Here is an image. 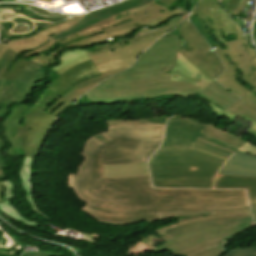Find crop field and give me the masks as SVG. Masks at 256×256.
Here are the masks:
<instances>
[{
  "mask_svg": "<svg viewBox=\"0 0 256 256\" xmlns=\"http://www.w3.org/2000/svg\"><path fill=\"white\" fill-rule=\"evenodd\" d=\"M101 143L89 137L77 174H68V189L87 204L89 215L115 221L156 217L155 211L249 208L244 190L151 188L149 175L103 178V164L146 161L163 140L164 125L122 123L107 126Z\"/></svg>",
  "mask_w": 256,
  "mask_h": 256,
  "instance_id": "1",
  "label": "crop field"
},
{
  "mask_svg": "<svg viewBox=\"0 0 256 256\" xmlns=\"http://www.w3.org/2000/svg\"><path fill=\"white\" fill-rule=\"evenodd\" d=\"M228 158L194 144L190 149H159L149 160L153 186L212 188L219 167Z\"/></svg>",
  "mask_w": 256,
  "mask_h": 256,
  "instance_id": "2",
  "label": "crop field"
},
{
  "mask_svg": "<svg viewBox=\"0 0 256 256\" xmlns=\"http://www.w3.org/2000/svg\"><path fill=\"white\" fill-rule=\"evenodd\" d=\"M251 223V216L195 222L168 231L161 236L166 242L157 247L150 241L146 244L152 248L150 252L168 249L174 256H221L225 253L222 245L237 232L250 227Z\"/></svg>",
  "mask_w": 256,
  "mask_h": 256,
  "instance_id": "3",
  "label": "crop field"
},
{
  "mask_svg": "<svg viewBox=\"0 0 256 256\" xmlns=\"http://www.w3.org/2000/svg\"><path fill=\"white\" fill-rule=\"evenodd\" d=\"M185 14L173 9L171 12L162 5L159 7L153 0H126L117 5L87 13L75 26L56 34L52 39L61 45L83 37L104 32L102 29L131 19L140 26L157 27L171 16Z\"/></svg>",
  "mask_w": 256,
  "mask_h": 256,
  "instance_id": "4",
  "label": "crop field"
},
{
  "mask_svg": "<svg viewBox=\"0 0 256 256\" xmlns=\"http://www.w3.org/2000/svg\"><path fill=\"white\" fill-rule=\"evenodd\" d=\"M59 120L61 118L25 104L13 107L10 115L2 122L6 129L4 137L11 144L6 154L14 157L13 149L22 146L25 156L38 155L44 139Z\"/></svg>",
  "mask_w": 256,
  "mask_h": 256,
  "instance_id": "5",
  "label": "crop field"
},
{
  "mask_svg": "<svg viewBox=\"0 0 256 256\" xmlns=\"http://www.w3.org/2000/svg\"><path fill=\"white\" fill-rule=\"evenodd\" d=\"M129 83L132 89L110 93L114 104L155 99L163 95L188 98L197 94L224 110L232 105L205 87L199 90L186 83L170 82V74L130 79Z\"/></svg>",
  "mask_w": 256,
  "mask_h": 256,
  "instance_id": "6",
  "label": "crop field"
},
{
  "mask_svg": "<svg viewBox=\"0 0 256 256\" xmlns=\"http://www.w3.org/2000/svg\"><path fill=\"white\" fill-rule=\"evenodd\" d=\"M19 56L16 52L8 48L6 53L0 58V117L3 118L8 113V106L24 102L28 95L37 87L39 82L45 77V68L36 62L29 61L23 70L13 81L2 79V75ZM1 147H5V142L0 140ZM8 169L0 154V179L7 175L3 170Z\"/></svg>",
  "mask_w": 256,
  "mask_h": 256,
  "instance_id": "7",
  "label": "crop field"
},
{
  "mask_svg": "<svg viewBox=\"0 0 256 256\" xmlns=\"http://www.w3.org/2000/svg\"><path fill=\"white\" fill-rule=\"evenodd\" d=\"M155 40L91 56V59L72 67L62 76L73 85L83 79L98 76L100 72L131 66L141 52Z\"/></svg>",
  "mask_w": 256,
  "mask_h": 256,
  "instance_id": "8",
  "label": "crop field"
},
{
  "mask_svg": "<svg viewBox=\"0 0 256 256\" xmlns=\"http://www.w3.org/2000/svg\"><path fill=\"white\" fill-rule=\"evenodd\" d=\"M150 48L138 58L137 63L132 68L108 79L136 75L146 71L150 75L171 73L178 51L181 48L177 31H171L161 37Z\"/></svg>",
  "mask_w": 256,
  "mask_h": 256,
  "instance_id": "9",
  "label": "crop field"
},
{
  "mask_svg": "<svg viewBox=\"0 0 256 256\" xmlns=\"http://www.w3.org/2000/svg\"><path fill=\"white\" fill-rule=\"evenodd\" d=\"M179 32L193 49L187 52L180 50V54L213 80L224 68L218 57L211 50L205 40L199 35L190 22H184L178 27ZM188 30V32H186ZM201 46V48H199Z\"/></svg>",
  "mask_w": 256,
  "mask_h": 256,
  "instance_id": "10",
  "label": "crop field"
},
{
  "mask_svg": "<svg viewBox=\"0 0 256 256\" xmlns=\"http://www.w3.org/2000/svg\"><path fill=\"white\" fill-rule=\"evenodd\" d=\"M226 50H222L218 45L215 46V52L218 54L220 60L223 62V64L226 67V71L223 72L218 78H216L217 81H219L221 84H223L228 89L232 90L234 93H236L238 96L242 97L247 92H249L248 89L245 88V86L240 85L236 82L237 72L235 71V67L242 69L244 72L243 75V81L249 83L256 92V78L252 74L250 75L247 71L246 65L243 63V60L241 58L239 49L237 45L235 44L234 40L223 43ZM214 48V47H213Z\"/></svg>",
  "mask_w": 256,
  "mask_h": 256,
  "instance_id": "11",
  "label": "crop field"
},
{
  "mask_svg": "<svg viewBox=\"0 0 256 256\" xmlns=\"http://www.w3.org/2000/svg\"><path fill=\"white\" fill-rule=\"evenodd\" d=\"M157 218L152 219H144L138 221H131V222H114L109 220H101L96 219L99 222H103L106 224H111L115 226L138 223L147 221L148 223L162 219L164 222L171 220L173 218L176 219L177 223L165 226L163 228L156 229L157 235L165 234L166 231L172 230L178 226L200 221V220H208L214 219L219 217H226V216H241V215H251L249 209H229V210H211V211H170V212H156Z\"/></svg>",
  "mask_w": 256,
  "mask_h": 256,
  "instance_id": "12",
  "label": "crop field"
},
{
  "mask_svg": "<svg viewBox=\"0 0 256 256\" xmlns=\"http://www.w3.org/2000/svg\"><path fill=\"white\" fill-rule=\"evenodd\" d=\"M205 126L197 120L175 116L167 121L164 143L160 148H189Z\"/></svg>",
  "mask_w": 256,
  "mask_h": 256,
  "instance_id": "13",
  "label": "crop field"
},
{
  "mask_svg": "<svg viewBox=\"0 0 256 256\" xmlns=\"http://www.w3.org/2000/svg\"><path fill=\"white\" fill-rule=\"evenodd\" d=\"M137 28H140L139 24H134L132 21L127 22L122 25L119 24L115 27L104 29L106 31L104 33L89 36L84 39L71 42L65 46H60L48 57L40 53V54L30 58L29 60L36 61V62L40 63L41 65L44 63H48L49 60L52 61L53 63H55V59L53 56L55 54H57L62 48H72V47H78V46L88 47L95 43L106 42V39H108L110 37H112L113 40H115L114 37H122V36L130 35V34H132V31H134Z\"/></svg>",
  "mask_w": 256,
  "mask_h": 256,
  "instance_id": "14",
  "label": "crop field"
},
{
  "mask_svg": "<svg viewBox=\"0 0 256 256\" xmlns=\"http://www.w3.org/2000/svg\"><path fill=\"white\" fill-rule=\"evenodd\" d=\"M84 15V14H83ZM78 16L74 18L67 19L68 22L61 24L59 26L49 28L45 31L41 30L38 33L28 37V38H19L14 40H9L0 44V57L4 54L7 48H11L17 53L21 54L23 52L29 51L33 48L39 47L41 44L49 40L50 36L56 32L63 31L66 28L77 23L78 20L83 16Z\"/></svg>",
  "mask_w": 256,
  "mask_h": 256,
  "instance_id": "15",
  "label": "crop field"
},
{
  "mask_svg": "<svg viewBox=\"0 0 256 256\" xmlns=\"http://www.w3.org/2000/svg\"><path fill=\"white\" fill-rule=\"evenodd\" d=\"M213 107V111L218 113V116L224 117L228 115L234 120L240 116L253 124L248 129L247 133L256 137V93L252 90L250 94L242 97L240 101L230 107L228 110L224 111L212 103L209 104Z\"/></svg>",
  "mask_w": 256,
  "mask_h": 256,
  "instance_id": "16",
  "label": "crop field"
},
{
  "mask_svg": "<svg viewBox=\"0 0 256 256\" xmlns=\"http://www.w3.org/2000/svg\"><path fill=\"white\" fill-rule=\"evenodd\" d=\"M221 6L217 0H201L193 10V15L198 16L204 21V24L210 30L213 38L218 39L221 43L226 42L222 34L218 12Z\"/></svg>",
  "mask_w": 256,
  "mask_h": 256,
  "instance_id": "17",
  "label": "crop field"
},
{
  "mask_svg": "<svg viewBox=\"0 0 256 256\" xmlns=\"http://www.w3.org/2000/svg\"><path fill=\"white\" fill-rule=\"evenodd\" d=\"M187 16L175 19L169 23H167L166 25H164L163 27H161L160 29L151 32V33H147L144 34L142 36H137L134 37L132 39H123V40H119L115 43H111V44H105V45H97L91 48H86L89 56L91 55H95V54H99L102 52H106V51H110L113 49H117V48H121V47H125L134 43H138V42H142V41H146V40H151V39H155L160 37L162 34L173 30L174 28H176L180 23L184 22L187 19Z\"/></svg>",
  "mask_w": 256,
  "mask_h": 256,
  "instance_id": "18",
  "label": "crop field"
},
{
  "mask_svg": "<svg viewBox=\"0 0 256 256\" xmlns=\"http://www.w3.org/2000/svg\"><path fill=\"white\" fill-rule=\"evenodd\" d=\"M171 81H181L193 85L199 89L207 85L211 80L200 70L178 54V58L171 73Z\"/></svg>",
  "mask_w": 256,
  "mask_h": 256,
  "instance_id": "19",
  "label": "crop field"
},
{
  "mask_svg": "<svg viewBox=\"0 0 256 256\" xmlns=\"http://www.w3.org/2000/svg\"><path fill=\"white\" fill-rule=\"evenodd\" d=\"M148 73H143L136 76L113 79L97 85L89 90L85 95L91 104H113L108 92L130 88L127 79L147 76Z\"/></svg>",
  "mask_w": 256,
  "mask_h": 256,
  "instance_id": "20",
  "label": "crop field"
},
{
  "mask_svg": "<svg viewBox=\"0 0 256 256\" xmlns=\"http://www.w3.org/2000/svg\"><path fill=\"white\" fill-rule=\"evenodd\" d=\"M219 174L256 177V156L237 151L223 165Z\"/></svg>",
  "mask_w": 256,
  "mask_h": 256,
  "instance_id": "21",
  "label": "crop field"
},
{
  "mask_svg": "<svg viewBox=\"0 0 256 256\" xmlns=\"http://www.w3.org/2000/svg\"><path fill=\"white\" fill-rule=\"evenodd\" d=\"M71 88H73L72 85L60 76L39 96L32 107L45 111L55 100Z\"/></svg>",
  "mask_w": 256,
  "mask_h": 256,
  "instance_id": "22",
  "label": "crop field"
},
{
  "mask_svg": "<svg viewBox=\"0 0 256 256\" xmlns=\"http://www.w3.org/2000/svg\"><path fill=\"white\" fill-rule=\"evenodd\" d=\"M214 188H247L250 202H256V178L218 175Z\"/></svg>",
  "mask_w": 256,
  "mask_h": 256,
  "instance_id": "23",
  "label": "crop field"
},
{
  "mask_svg": "<svg viewBox=\"0 0 256 256\" xmlns=\"http://www.w3.org/2000/svg\"><path fill=\"white\" fill-rule=\"evenodd\" d=\"M146 174H149L146 162L104 165V177H132Z\"/></svg>",
  "mask_w": 256,
  "mask_h": 256,
  "instance_id": "24",
  "label": "crop field"
},
{
  "mask_svg": "<svg viewBox=\"0 0 256 256\" xmlns=\"http://www.w3.org/2000/svg\"><path fill=\"white\" fill-rule=\"evenodd\" d=\"M202 133H205L209 136L218 138L230 145L238 147V148H240L239 151H241V152L256 155V146L251 145V143H248L235 135L226 133V132H224V130L219 129V128L215 127L214 125L207 126L202 131Z\"/></svg>",
  "mask_w": 256,
  "mask_h": 256,
  "instance_id": "25",
  "label": "crop field"
},
{
  "mask_svg": "<svg viewBox=\"0 0 256 256\" xmlns=\"http://www.w3.org/2000/svg\"><path fill=\"white\" fill-rule=\"evenodd\" d=\"M100 83V82H98ZM94 83L91 85H87L78 89H71L66 94H64L62 97H60L56 102H54L47 110L46 112L58 115L61 113L65 108L73 104L83 93H85L89 88L92 86L98 84Z\"/></svg>",
  "mask_w": 256,
  "mask_h": 256,
  "instance_id": "26",
  "label": "crop field"
},
{
  "mask_svg": "<svg viewBox=\"0 0 256 256\" xmlns=\"http://www.w3.org/2000/svg\"><path fill=\"white\" fill-rule=\"evenodd\" d=\"M85 49H75L73 51H64L58 56L60 61L57 66L52 67L56 72L62 73L63 71L69 69L71 66L78 64L82 61L89 59Z\"/></svg>",
  "mask_w": 256,
  "mask_h": 256,
  "instance_id": "27",
  "label": "crop field"
},
{
  "mask_svg": "<svg viewBox=\"0 0 256 256\" xmlns=\"http://www.w3.org/2000/svg\"><path fill=\"white\" fill-rule=\"evenodd\" d=\"M238 41L235 40L238 45L241 55L243 57L244 63H246L249 73H254L256 76V51L251 48L250 43L242 35V32L236 25Z\"/></svg>",
  "mask_w": 256,
  "mask_h": 256,
  "instance_id": "28",
  "label": "crop field"
},
{
  "mask_svg": "<svg viewBox=\"0 0 256 256\" xmlns=\"http://www.w3.org/2000/svg\"><path fill=\"white\" fill-rule=\"evenodd\" d=\"M194 144L203 146L205 148L211 149L213 151L226 154L231 156L234 152L238 150V148H235L233 146L227 145L215 138L206 136L202 133L195 139Z\"/></svg>",
  "mask_w": 256,
  "mask_h": 256,
  "instance_id": "29",
  "label": "crop field"
},
{
  "mask_svg": "<svg viewBox=\"0 0 256 256\" xmlns=\"http://www.w3.org/2000/svg\"><path fill=\"white\" fill-rule=\"evenodd\" d=\"M219 18L221 20V26L223 28L225 38L228 41L232 40L231 34L236 33L235 23L232 22L228 14H226L223 9H221L219 12Z\"/></svg>",
  "mask_w": 256,
  "mask_h": 256,
  "instance_id": "30",
  "label": "crop field"
},
{
  "mask_svg": "<svg viewBox=\"0 0 256 256\" xmlns=\"http://www.w3.org/2000/svg\"><path fill=\"white\" fill-rule=\"evenodd\" d=\"M206 87L212 90L213 92H215L216 94L220 95L221 97H223L224 99H226L232 104L235 103L237 100H239V97L230 93L228 90H226L223 86H221L219 83L215 81L209 83Z\"/></svg>",
  "mask_w": 256,
  "mask_h": 256,
  "instance_id": "31",
  "label": "crop field"
},
{
  "mask_svg": "<svg viewBox=\"0 0 256 256\" xmlns=\"http://www.w3.org/2000/svg\"><path fill=\"white\" fill-rule=\"evenodd\" d=\"M190 21L197 27V29L200 31L201 35L205 38V40L210 44V46L216 45V43L212 40V36L209 32V30L206 28V26L203 24L202 20H200L198 17L193 16L191 14Z\"/></svg>",
  "mask_w": 256,
  "mask_h": 256,
  "instance_id": "32",
  "label": "crop field"
},
{
  "mask_svg": "<svg viewBox=\"0 0 256 256\" xmlns=\"http://www.w3.org/2000/svg\"><path fill=\"white\" fill-rule=\"evenodd\" d=\"M28 60L17 58L12 66L6 71L2 78L13 80L14 77L22 70Z\"/></svg>",
  "mask_w": 256,
  "mask_h": 256,
  "instance_id": "33",
  "label": "crop field"
},
{
  "mask_svg": "<svg viewBox=\"0 0 256 256\" xmlns=\"http://www.w3.org/2000/svg\"><path fill=\"white\" fill-rule=\"evenodd\" d=\"M169 117H159V118H140L138 120H130V121H117V122H110L107 121L106 124H116V123H122V122H139V123H152V124H165V120L168 119Z\"/></svg>",
  "mask_w": 256,
  "mask_h": 256,
  "instance_id": "34",
  "label": "crop field"
},
{
  "mask_svg": "<svg viewBox=\"0 0 256 256\" xmlns=\"http://www.w3.org/2000/svg\"><path fill=\"white\" fill-rule=\"evenodd\" d=\"M125 69H127V68H125ZM122 70H124V69L101 73L100 76L84 80V81L74 85V87L78 88V87H81V86H84V85H87V84H91V83H94V82H97V81H101V80H103V79H105L109 76H112V75H114V74H116V73H118Z\"/></svg>",
  "mask_w": 256,
  "mask_h": 256,
  "instance_id": "35",
  "label": "crop field"
},
{
  "mask_svg": "<svg viewBox=\"0 0 256 256\" xmlns=\"http://www.w3.org/2000/svg\"><path fill=\"white\" fill-rule=\"evenodd\" d=\"M223 256H256V247L237 248Z\"/></svg>",
  "mask_w": 256,
  "mask_h": 256,
  "instance_id": "36",
  "label": "crop field"
},
{
  "mask_svg": "<svg viewBox=\"0 0 256 256\" xmlns=\"http://www.w3.org/2000/svg\"><path fill=\"white\" fill-rule=\"evenodd\" d=\"M55 43L56 42L51 39L50 41H48L47 44L43 45L42 47H40L38 49H35V50H33V51L29 52V53H25V54H23L21 56L30 58V57H32V56H34V55H36V54H38L40 52H45L49 48L53 47Z\"/></svg>",
  "mask_w": 256,
  "mask_h": 256,
  "instance_id": "37",
  "label": "crop field"
},
{
  "mask_svg": "<svg viewBox=\"0 0 256 256\" xmlns=\"http://www.w3.org/2000/svg\"><path fill=\"white\" fill-rule=\"evenodd\" d=\"M242 0H224L223 6L225 10L231 15L232 12L237 8Z\"/></svg>",
  "mask_w": 256,
  "mask_h": 256,
  "instance_id": "38",
  "label": "crop field"
},
{
  "mask_svg": "<svg viewBox=\"0 0 256 256\" xmlns=\"http://www.w3.org/2000/svg\"><path fill=\"white\" fill-rule=\"evenodd\" d=\"M22 256H63V254L39 250L38 252H25Z\"/></svg>",
  "mask_w": 256,
  "mask_h": 256,
  "instance_id": "39",
  "label": "crop field"
},
{
  "mask_svg": "<svg viewBox=\"0 0 256 256\" xmlns=\"http://www.w3.org/2000/svg\"><path fill=\"white\" fill-rule=\"evenodd\" d=\"M168 10H172L181 0H158ZM167 4V6H165Z\"/></svg>",
  "mask_w": 256,
  "mask_h": 256,
  "instance_id": "40",
  "label": "crop field"
},
{
  "mask_svg": "<svg viewBox=\"0 0 256 256\" xmlns=\"http://www.w3.org/2000/svg\"><path fill=\"white\" fill-rule=\"evenodd\" d=\"M248 0H243V2L238 6V8L233 12V16H238V14L245 8Z\"/></svg>",
  "mask_w": 256,
  "mask_h": 256,
  "instance_id": "41",
  "label": "crop field"
},
{
  "mask_svg": "<svg viewBox=\"0 0 256 256\" xmlns=\"http://www.w3.org/2000/svg\"><path fill=\"white\" fill-rule=\"evenodd\" d=\"M178 7L184 8V9H183V12H186V13H187V10H188V7H189V3H188L187 0H182V2L179 3Z\"/></svg>",
  "mask_w": 256,
  "mask_h": 256,
  "instance_id": "42",
  "label": "crop field"
},
{
  "mask_svg": "<svg viewBox=\"0 0 256 256\" xmlns=\"http://www.w3.org/2000/svg\"><path fill=\"white\" fill-rule=\"evenodd\" d=\"M250 205H251L254 221H255V224H256V203H250Z\"/></svg>",
  "mask_w": 256,
  "mask_h": 256,
  "instance_id": "43",
  "label": "crop field"
},
{
  "mask_svg": "<svg viewBox=\"0 0 256 256\" xmlns=\"http://www.w3.org/2000/svg\"><path fill=\"white\" fill-rule=\"evenodd\" d=\"M178 33H179V32H178ZM179 36H180V38H181L182 41H183V47H182V49H185V50H188V51L192 50V49L189 47V45L186 43V41L183 39V37L180 35V33H179Z\"/></svg>",
  "mask_w": 256,
  "mask_h": 256,
  "instance_id": "44",
  "label": "crop field"
},
{
  "mask_svg": "<svg viewBox=\"0 0 256 256\" xmlns=\"http://www.w3.org/2000/svg\"><path fill=\"white\" fill-rule=\"evenodd\" d=\"M93 136L96 137L97 139H99L103 143L107 142V140L100 133L93 135Z\"/></svg>",
  "mask_w": 256,
  "mask_h": 256,
  "instance_id": "45",
  "label": "crop field"
},
{
  "mask_svg": "<svg viewBox=\"0 0 256 256\" xmlns=\"http://www.w3.org/2000/svg\"><path fill=\"white\" fill-rule=\"evenodd\" d=\"M64 22H66V20H65V21H61V22H58V23H55V24H52V25H49V26H46V27L43 28V30L46 29V28L53 27V26H56V25H58V24L64 23Z\"/></svg>",
  "mask_w": 256,
  "mask_h": 256,
  "instance_id": "46",
  "label": "crop field"
},
{
  "mask_svg": "<svg viewBox=\"0 0 256 256\" xmlns=\"http://www.w3.org/2000/svg\"><path fill=\"white\" fill-rule=\"evenodd\" d=\"M49 70V72H50V76H49V80H48V82L49 81H51L52 80V77H53V74H54V70H52V69H48Z\"/></svg>",
  "mask_w": 256,
  "mask_h": 256,
  "instance_id": "47",
  "label": "crop field"
},
{
  "mask_svg": "<svg viewBox=\"0 0 256 256\" xmlns=\"http://www.w3.org/2000/svg\"><path fill=\"white\" fill-rule=\"evenodd\" d=\"M253 39L256 40V22H255L254 28H253Z\"/></svg>",
  "mask_w": 256,
  "mask_h": 256,
  "instance_id": "48",
  "label": "crop field"
},
{
  "mask_svg": "<svg viewBox=\"0 0 256 256\" xmlns=\"http://www.w3.org/2000/svg\"><path fill=\"white\" fill-rule=\"evenodd\" d=\"M1 187H2V184L0 183V203L4 201V200L2 199V196H1Z\"/></svg>",
  "mask_w": 256,
  "mask_h": 256,
  "instance_id": "49",
  "label": "crop field"
},
{
  "mask_svg": "<svg viewBox=\"0 0 256 256\" xmlns=\"http://www.w3.org/2000/svg\"><path fill=\"white\" fill-rule=\"evenodd\" d=\"M175 9H178V10L182 11V9H181V8H177V7H175Z\"/></svg>",
  "mask_w": 256,
  "mask_h": 256,
  "instance_id": "50",
  "label": "crop field"
},
{
  "mask_svg": "<svg viewBox=\"0 0 256 256\" xmlns=\"http://www.w3.org/2000/svg\"><path fill=\"white\" fill-rule=\"evenodd\" d=\"M223 0H220V3L222 4Z\"/></svg>",
  "mask_w": 256,
  "mask_h": 256,
  "instance_id": "51",
  "label": "crop field"
},
{
  "mask_svg": "<svg viewBox=\"0 0 256 256\" xmlns=\"http://www.w3.org/2000/svg\"><path fill=\"white\" fill-rule=\"evenodd\" d=\"M256 42V41H255Z\"/></svg>",
  "mask_w": 256,
  "mask_h": 256,
  "instance_id": "52",
  "label": "crop field"
}]
</instances>
